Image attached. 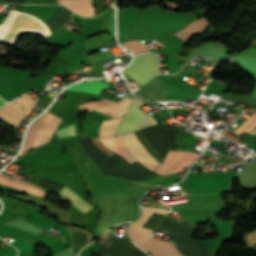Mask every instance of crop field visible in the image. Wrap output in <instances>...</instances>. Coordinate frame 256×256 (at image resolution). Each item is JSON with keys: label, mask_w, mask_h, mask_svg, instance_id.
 Segmentation results:
<instances>
[{"label": "crop field", "mask_w": 256, "mask_h": 256, "mask_svg": "<svg viewBox=\"0 0 256 256\" xmlns=\"http://www.w3.org/2000/svg\"><path fill=\"white\" fill-rule=\"evenodd\" d=\"M21 33L50 35L45 23L20 11L10 9L2 25H0V42L13 46ZM21 36V35H20Z\"/></svg>", "instance_id": "obj_1"}, {"label": "crop field", "mask_w": 256, "mask_h": 256, "mask_svg": "<svg viewBox=\"0 0 256 256\" xmlns=\"http://www.w3.org/2000/svg\"><path fill=\"white\" fill-rule=\"evenodd\" d=\"M123 72L141 86L156 76L158 72V55L148 53L136 56L133 64Z\"/></svg>", "instance_id": "obj_2"}, {"label": "crop field", "mask_w": 256, "mask_h": 256, "mask_svg": "<svg viewBox=\"0 0 256 256\" xmlns=\"http://www.w3.org/2000/svg\"><path fill=\"white\" fill-rule=\"evenodd\" d=\"M127 235L152 256H182L177 252L173 242L152 240L150 234L136 230L127 229Z\"/></svg>", "instance_id": "obj_3"}, {"label": "crop field", "mask_w": 256, "mask_h": 256, "mask_svg": "<svg viewBox=\"0 0 256 256\" xmlns=\"http://www.w3.org/2000/svg\"><path fill=\"white\" fill-rule=\"evenodd\" d=\"M55 115L50 112L30 126L25 139V146L22 152H26L49 141Z\"/></svg>", "instance_id": "obj_4"}, {"label": "crop field", "mask_w": 256, "mask_h": 256, "mask_svg": "<svg viewBox=\"0 0 256 256\" xmlns=\"http://www.w3.org/2000/svg\"><path fill=\"white\" fill-rule=\"evenodd\" d=\"M142 103L143 101L137 99L132 100L126 116L118 127L116 135L132 132L156 124L155 120L150 115L137 108Z\"/></svg>", "instance_id": "obj_5"}, {"label": "crop field", "mask_w": 256, "mask_h": 256, "mask_svg": "<svg viewBox=\"0 0 256 256\" xmlns=\"http://www.w3.org/2000/svg\"><path fill=\"white\" fill-rule=\"evenodd\" d=\"M200 154L177 152L169 150L163 163L154 172L164 175L173 172L183 171L189 166Z\"/></svg>", "instance_id": "obj_6"}, {"label": "crop field", "mask_w": 256, "mask_h": 256, "mask_svg": "<svg viewBox=\"0 0 256 256\" xmlns=\"http://www.w3.org/2000/svg\"><path fill=\"white\" fill-rule=\"evenodd\" d=\"M123 138L126 142L128 151L145 167L153 171L161 164L149 154V152L137 139L134 132L123 135Z\"/></svg>", "instance_id": "obj_7"}, {"label": "crop field", "mask_w": 256, "mask_h": 256, "mask_svg": "<svg viewBox=\"0 0 256 256\" xmlns=\"http://www.w3.org/2000/svg\"><path fill=\"white\" fill-rule=\"evenodd\" d=\"M97 192L124 193L127 180L105 176L91 177Z\"/></svg>", "instance_id": "obj_8"}, {"label": "crop field", "mask_w": 256, "mask_h": 256, "mask_svg": "<svg viewBox=\"0 0 256 256\" xmlns=\"http://www.w3.org/2000/svg\"><path fill=\"white\" fill-rule=\"evenodd\" d=\"M106 256H148L135 247L129 240L120 237L111 251L97 250Z\"/></svg>", "instance_id": "obj_9"}, {"label": "crop field", "mask_w": 256, "mask_h": 256, "mask_svg": "<svg viewBox=\"0 0 256 256\" xmlns=\"http://www.w3.org/2000/svg\"><path fill=\"white\" fill-rule=\"evenodd\" d=\"M23 118L22 108L16 103H10L6 107L0 109V120L14 128Z\"/></svg>", "instance_id": "obj_10"}, {"label": "crop field", "mask_w": 256, "mask_h": 256, "mask_svg": "<svg viewBox=\"0 0 256 256\" xmlns=\"http://www.w3.org/2000/svg\"><path fill=\"white\" fill-rule=\"evenodd\" d=\"M0 183L26 191L32 195H36L39 197H43L45 194V191L28 182L19 180L13 176L10 178L2 173L0 174Z\"/></svg>", "instance_id": "obj_11"}, {"label": "crop field", "mask_w": 256, "mask_h": 256, "mask_svg": "<svg viewBox=\"0 0 256 256\" xmlns=\"http://www.w3.org/2000/svg\"><path fill=\"white\" fill-rule=\"evenodd\" d=\"M208 27H210V25L208 24L206 19L203 17L199 20L192 22L189 26L175 33V35L187 42V40L190 38L191 35L204 33Z\"/></svg>", "instance_id": "obj_12"}, {"label": "crop field", "mask_w": 256, "mask_h": 256, "mask_svg": "<svg viewBox=\"0 0 256 256\" xmlns=\"http://www.w3.org/2000/svg\"><path fill=\"white\" fill-rule=\"evenodd\" d=\"M137 199L138 197L121 199L120 211L116 224L133 220Z\"/></svg>", "instance_id": "obj_13"}, {"label": "crop field", "mask_w": 256, "mask_h": 256, "mask_svg": "<svg viewBox=\"0 0 256 256\" xmlns=\"http://www.w3.org/2000/svg\"><path fill=\"white\" fill-rule=\"evenodd\" d=\"M107 87H108V85L103 84L101 82L87 81L85 83L72 85V86L68 87L67 90L90 92V93L100 95V93L102 91H104Z\"/></svg>", "instance_id": "obj_14"}, {"label": "crop field", "mask_w": 256, "mask_h": 256, "mask_svg": "<svg viewBox=\"0 0 256 256\" xmlns=\"http://www.w3.org/2000/svg\"><path fill=\"white\" fill-rule=\"evenodd\" d=\"M129 102H130V99L126 97L115 105L105 106L102 108H98L96 110L102 113H105L113 118H116L118 116H122L125 114L128 108Z\"/></svg>", "instance_id": "obj_15"}, {"label": "crop field", "mask_w": 256, "mask_h": 256, "mask_svg": "<svg viewBox=\"0 0 256 256\" xmlns=\"http://www.w3.org/2000/svg\"><path fill=\"white\" fill-rule=\"evenodd\" d=\"M59 194L84 213L93 208L66 186L61 190Z\"/></svg>", "instance_id": "obj_16"}, {"label": "crop field", "mask_w": 256, "mask_h": 256, "mask_svg": "<svg viewBox=\"0 0 256 256\" xmlns=\"http://www.w3.org/2000/svg\"><path fill=\"white\" fill-rule=\"evenodd\" d=\"M234 134H256V111L236 130Z\"/></svg>", "instance_id": "obj_17"}, {"label": "crop field", "mask_w": 256, "mask_h": 256, "mask_svg": "<svg viewBox=\"0 0 256 256\" xmlns=\"http://www.w3.org/2000/svg\"><path fill=\"white\" fill-rule=\"evenodd\" d=\"M112 151L123 156L130 164L136 161L134 157L127 151L126 145L121 136L115 137Z\"/></svg>", "instance_id": "obj_18"}, {"label": "crop field", "mask_w": 256, "mask_h": 256, "mask_svg": "<svg viewBox=\"0 0 256 256\" xmlns=\"http://www.w3.org/2000/svg\"><path fill=\"white\" fill-rule=\"evenodd\" d=\"M124 47L131 50L134 54L140 53V52H147L150 50L148 47H146L143 43L139 41H127L121 43Z\"/></svg>", "instance_id": "obj_19"}, {"label": "crop field", "mask_w": 256, "mask_h": 256, "mask_svg": "<svg viewBox=\"0 0 256 256\" xmlns=\"http://www.w3.org/2000/svg\"><path fill=\"white\" fill-rule=\"evenodd\" d=\"M37 100H33L32 98H30L27 94L16 99L14 102H20L24 111H25V117L27 114H29V112L31 111V109L33 108V106L35 105Z\"/></svg>", "instance_id": "obj_20"}, {"label": "crop field", "mask_w": 256, "mask_h": 256, "mask_svg": "<svg viewBox=\"0 0 256 256\" xmlns=\"http://www.w3.org/2000/svg\"><path fill=\"white\" fill-rule=\"evenodd\" d=\"M136 134L141 141V143L145 146V148L151 153V155L156 158L158 161L162 162V158L158 155V153L153 149V147L148 143V141L141 135L139 131H136Z\"/></svg>", "instance_id": "obj_21"}, {"label": "crop field", "mask_w": 256, "mask_h": 256, "mask_svg": "<svg viewBox=\"0 0 256 256\" xmlns=\"http://www.w3.org/2000/svg\"><path fill=\"white\" fill-rule=\"evenodd\" d=\"M58 134L60 137L64 136H70V135H75V125L68 126L60 131H58Z\"/></svg>", "instance_id": "obj_22"}, {"label": "crop field", "mask_w": 256, "mask_h": 256, "mask_svg": "<svg viewBox=\"0 0 256 256\" xmlns=\"http://www.w3.org/2000/svg\"><path fill=\"white\" fill-rule=\"evenodd\" d=\"M92 143L98 147L100 150L105 152L106 154L112 156V152L99 140V139H90Z\"/></svg>", "instance_id": "obj_23"}, {"label": "crop field", "mask_w": 256, "mask_h": 256, "mask_svg": "<svg viewBox=\"0 0 256 256\" xmlns=\"http://www.w3.org/2000/svg\"><path fill=\"white\" fill-rule=\"evenodd\" d=\"M215 253L211 252L208 248H203L200 251H198L197 253L193 254L192 256H214Z\"/></svg>", "instance_id": "obj_24"}, {"label": "crop field", "mask_w": 256, "mask_h": 256, "mask_svg": "<svg viewBox=\"0 0 256 256\" xmlns=\"http://www.w3.org/2000/svg\"><path fill=\"white\" fill-rule=\"evenodd\" d=\"M110 150L112 149V144L114 137L107 138V139H100Z\"/></svg>", "instance_id": "obj_25"}, {"label": "crop field", "mask_w": 256, "mask_h": 256, "mask_svg": "<svg viewBox=\"0 0 256 256\" xmlns=\"http://www.w3.org/2000/svg\"><path fill=\"white\" fill-rule=\"evenodd\" d=\"M6 102H4V101H2L1 99H0V106H2V105H4Z\"/></svg>", "instance_id": "obj_26"}]
</instances>
